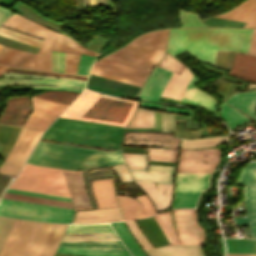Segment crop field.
<instances>
[{
    "label": "crop field",
    "instance_id": "8a807250",
    "mask_svg": "<svg viewBox=\"0 0 256 256\" xmlns=\"http://www.w3.org/2000/svg\"><path fill=\"white\" fill-rule=\"evenodd\" d=\"M253 29L175 28L171 29L167 52L177 57L188 51L214 65L217 50L247 53Z\"/></svg>",
    "mask_w": 256,
    "mask_h": 256
},
{
    "label": "crop field",
    "instance_id": "ac0d7876",
    "mask_svg": "<svg viewBox=\"0 0 256 256\" xmlns=\"http://www.w3.org/2000/svg\"><path fill=\"white\" fill-rule=\"evenodd\" d=\"M30 163L79 170L124 163L120 150L103 151L38 142Z\"/></svg>",
    "mask_w": 256,
    "mask_h": 256
},
{
    "label": "crop field",
    "instance_id": "34b2d1b8",
    "mask_svg": "<svg viewBox=\"0 0 256 256\" xmlns=\"http://www.w3.org/2000/svg\"><path fill=\"white\" fill-rule=\"evenodd\" d=\"M137 103L84 90L60 116L126 126Z\"/></svg>",
    "mask_w": 256,
    "mask_h": 256
},
{
    "label": "crop field",
    "instance_id": "412701ff",
    "mask_svg": "<svg viewBox=\"0 0 256 256\" xmlns=\"http://www.w3.org/2000/svg\"><path fill=\"white\" fill-rule=\"evenodd\" d=\"M125 127L58 117L42 138L119 149Z\"/></svg>",
    "mask_w": 256,
    "mask_h": 256
},
{
    "label": "crop field",
    "instance_id": "f4fd0767",
    "mask_svg": "<svg viewBox=\"0 0 256 256\" xmlns=\"http://www.w3.org/2000/svg\"><path fill=\"white\" fill-rule=\"evenodd\" d=\"M168 29L146 33L103 59L151 70L163 57Z\"/></svg>",
    "mask_w": 256,
    "mask_h": 256
},
{
    "label": "crop field",
    "instance_id": "dd49c442",
    "mask_svg": "<svg viewBox=\"0 0 256 256\" xmlns=\"http://www.w3.org/2000/svg\"><path fill=\"white\" fill-rule=\"evenodd\" d=\"M11 189L69 197L61 169L25 164Z\"/></svg>",
    "mask_w": 256,
    "mask_h": 256
},
{
    "label": "crop field",
    "instance_id": "e52e79f7",
    "mask_svg": "<svg viewBox=\"0 0 256 256\" xmlns=\"http://www.w3.org/2000/svg\"><path fill=\"white\" fill-rule=\"evenodd\" d=\"M172 213L179 242L170 211L154 215L170 244L202 245L204 234L203 229L197 224L195 210L176 209L172 210Z\"/></svg>",
    "mask_w": 256,
    "mask_h": 256
},
{
    "label": "crop field",
    "instance_id": "d8731c3e",
    "mask_svg": "<svg viewBox=\"0 0 256 256\" xmlns=\"http://www.w3.org/2000/svg\"><path fill=\"white\" fill-rule=\"evenodd\" d=\"M73 214L74 210L70 208L5 199H2L0 202V215L2 216L46 222H71Z\"/></svg>",
    "mask_w": 256,
    "mask_h": 256
},
{
    "label": "crop field",
    "instance_id": "5a996713",
    "mask_svg": "<svg viewBox=\"0 0 256 256\" xmlns=\"http://www.w3.org/2000/svg\"><path fill=\"white\" fill-rule=\"evenodd\" d=\"M2 25L44 39L30 68L51 71V46L55 31L42 27L17 14H12Z\"/></svg>",
    "mask_w": 256,
    "mask_h": 256
},
{
    "label": "crop field",
    "instance_id": "3316defc",
    "mask_svg": "<svg viewBox=\"0 0 256 256\" xmlns=\"http://www.w3.org/2000/svg\"><path fill=\"white\" fill-rule=\"evenodd\" d=\"M128 167H142L129 169L135 181L159 182L172 184L174 167L149 165L147 171L146 155L122 153Z\"/></svg>",
    "mask_w": 256,
    "mask_h": 256
},
{
    "label": "crop field",
    "instance_id": "28ad6ade",
    "mask_svg": "<svg viewBox=\"0 0 256 256\" xmlns=\"http://www.w3.org/2000/svg\"><path fill=\"white\" fill-rule=\"evenodd\" d=\"M226 103L239 108L242 112L255 118L256 91L234 94L226 101ZM221 118L231 129L242 124L244 121L249 120L247 116L226 104L221 107Z\"/></svg>",
    "mask_w": 256,
    "mask_h": 256
},
{
    "label": "crop field",
    "instance_id": "d1516ede",
    "mask_svg": "<svg viewBox=\"0 0 256 256\" xmlns=\"http://www.w3.org/2000/svg\"><path fill=\"white\" fill-rule=\"evenodd\" d=\"M238 184L245 187L247 217H235L236 225H249L253 237H256V161L244 168Z\"/></svg>",
    "mask_w": 256,
    "mask_h": 256
},
{
    "label": "crop field",
    "instance_id": "22f410ed",
    "mask_svg": "<svg viewBox=\"0 0 256 256\" xmlns=\"http://www.w3.org/2000/svg\"><path fill=\"white\" fill-rule=\"evenodd\" d=\"M219 159L218 148L180 150L176 171L212 172Z\"/></svg>",
    "mask_w": 256,
    "mask_h": 256
},
{
    "label": "crop field",
    "instance_id": "cbeb9de0",
    "mask_svg": "<svg viewBox=\"0 0 256 256\" xmlns=\"http://www.w3.org/2000/svg\"><path fill=\"white\" fill-rule=\"evenodd\" d=\"M90 73L141 86L149 71L101 59L94 63Z\"/></svg>",
    "mask_w": 256,
    "mask_h": 256
},
{
    "label": "crop field",
    "instance_id": "5142ce71",
    "mask_svg": "<svg viewBox=\"0 0 256 256\" xmlns=\"http://www.w3.org/2000/svg\"><path fill=\"white\" fill-rule=\"evenodd\" d=\"M34 111L23 126L44 131L56 117L67 107L66 105L34 98Z\"/></svg>",
    "mask_w": 256,
    "mask_h": 256
},
{
    "label": "crop field",
    "instance_id": "d9b57169",
    "mask_svg": "<svg viewBox=\"0 0 256 256\" xmlns=\"http://www.w3.org/2000/svg\"><path fill=\"white\" fill-rule=\"evenodd\" d=\"M5 72L2 76H15V77H36V76H19V75H8ZM17 74V73H13ZM28 75V74H26ZM40 76V75H39ZM36 78H47V79H12L3 78L0 80V84H52L58 85L60 87H50V86H30L35 90L41 89H57V90H67V91H77L81 92L86 81L77 79H61V78H50V77H36Z\"/></svg>",
    "mask_w": 256,
    "mask_h": 256
},
{
    "label": "crop field",
    "instance_id": "733c2abd",
    "mask_svg": "<svg viewBox=\"0 0 256 256\" xmlns=\"http://www.w3.org/2000/svg\"><path fill=\"white\" fill-rule=\"evenodd\" d=\"M6 106L0 115V123L21 126L31 111L30 96H17L8 98Z\"/></svg>",
    "mask_w": 256,
    "mask_h": 256
},
{
    "label": "crop field",
    "instance_id": "4a817a6b",
    "mask_svg": "<svg viewBox=\"0 0 256 256\" xmlns=\"http://www.w3.org/2000/svg\"><path fill=\"white\" fill-rule=\"evenodd\" d=\"M52 50L66 51V73L76 74L81 53L97 56L61 33H56Z\"/></svg>",
    "mask_w": 256,
    "mask_h": 256
},
{
    "label": "crop field",
    "instance_id": "bc2a9ffb",
    "mask_svg": "<svg viewBox=\"0 0 256 256\" xmlns=\"http://www.w3.org/2000/svg\"><path fill=\"white\" fill-rule=\"evenodd\" d=\"M117 197L124 219L142 218L155 214L154 207L146 196L137 197L144 207L139 202L129 197Z\"/></svg>",
    "mask_w": 256,
    "mask_h": 256
},
{
    "label": "crop field",
    "instance_id": "214f88e0",
    "mask_svg": "<svg viewBox=\"0 0 256 256\" xmlns=\"http://www.w3.org/2000/svg\"><path fill=\"white\" fill-rule=\"evenodd\" d=\"M172 72L162 68L154 67L151 74L147 78L138 98L157 101L162 90L167 84ZM153 83L147 97L145 98L151 84Z\"/></svg>",
    "mask_w": 256,
    "mask_h": 256
},
{
    "label": "crop field",
    "instance_id": "92a150f3",
    "mask_svg": "<svg viewBox=\"0 0 256 256\" xmlns=\"http://www.w3.org/2000/svg\"><path fill=\"white\" fill-rule=\"evenodd\" d=\"M176 139L169 135L149 133H125L124 144L148 145L159 144L167 148H176Z\"/></svg>",
    "mask_w": 256,
    "mask_h": 256
},
{
    "label": "crop field",
    "instance_id": "dafd665d",
    "mask_svg": "<svg viewBox=\"0 0 256 256\" xmlns=\"http://www.w3.org/2000/svg\"><path fill=\"white\" fill-rule=\"evenodd\" d=\"M68 171H64V172H65L68 187L72 196L74 207L91 206L88 200L87 194L85 192L82 174L72 173V172H81V171H72V172H68ZM88 208H91V207H88ZM76 209H81V208H76Z\"/></svg>",
    "mask_w": 256,
    "mask_h": 256
},
{
    "label": "crop field",
    "instance_id": "00972430",
    "mask_svg": "<svg viewBox=\"0 0 256 256\" xmlns=\"http://www.w3.org/2000/svg\"><path fill=\"white\" fill-rule=\"evenodd\" d=\"M210 173H177L175 191H203Z\"/></svg>",
    "mask_w": 256,
    "mask_h": 256
},
{
    "label": "crop field",
    "instance_id": "a9b5d70f",
    "mask_svg": "<svg viewBox=\"0 0 256 256\" xmlns=\"http://www.w3.org/2000/svg\"><path fill=\"white\" fill-rule=\"evenodd\" d=\"M215 17L248 22L244 27H256V0H247L236 8Z\"/></svg>",
    "mask_w": 256,
    "mask_h": 256
},
{
    "label": "crop field",
    "instance_id": "4177f3b9",
    "mask_svg": "<svg viewBox=\"0 0 256 256\" xmlns=\"http://www.w3.org/2000/svg\"><path fill=\"white\" fill-rule=\"evenodd\" d=\"M139 186L146 192V194L155 203L158 210H164L169 207L172 185L157 184V191L154 183L137 182ZM165 188V198L163 196Z\"/></svg>",
    "mask_w": 256,
    "mask_h": 256
},
{
    "label": "crop field",
    "instance_id": "730fd06b",
    "mask_svg": "<svg viewBox=\"0 0 256 256\" xmlns=\"http://www.w3.org/2000/svg\"><path fill=\"white\" fill-rule=\"evenodd\" d=\"M93 193L99 207L118 206L113 189V179L92 181Z\"/></svg>",
    "mask_w": 256,
    "mask_h": 256
},
{
    "label": "crop field",
    "instance_id": "eef30255",
    "mask_svg": "<svg viewBox=\"0 0 256 256\" xmlns=\"http://www.w3.org/2000/svg\"><path fill=\"white\" fill-rule=\"evenodd\" d=\"M231 75L256 81V57L245 54H236Z\"/></svg>",
    "mask_w": 256,
    "mask_h": 256
},
{
    "label": "crop field",
    "instance_id": "ae1a2a85",
    "mask_svg": "<svg viewBox=\"0 0 256 256\" xmlns=\"http://www.w3.org/2000/svg\"><path fill=\"white\" fill-rule=\"evenodd\" d=\"M36 54L6 47L0 54V64L29 69Z\"/></svg>",
    "mask_w": 256,
    "mask_h": 256
},
{
    "label": "crop field",
    "instance_id": "d3111659",
    "mask_svg": "<svg viewBox=\"0 0 256 256\" xmlns=\"http://www.w3.org/2000/svg\"><path fill=\"white\" fill-rule=\"evenodd\" d=\"M122 220L118 208L77 211L74 222H105Z\"/></svg>",
    "mask_w": 256,
    "mask_h": 256
},
{
    "label": "crop field",
    "instance_id": "750c4746",
    "mask_svg": "<svg viewBox=\"0 0 256 256\" xmlns=\"http://www.w3.org/2000/svg\"><path fill=\"white\" fill-rule=\"evenodd\" d=\"M193 74L185 67L180 75L173 73L162 96L180 100L183 92L189 84Z\"/></svg>",
    "mask_w": 256,
    "mask_h": 256
},
{
    "label": "crop field",
    "instance_id": "bd1437ed",
    "mask_svg": "<svg viewBox=\"0 0 256 256\" xmlns=\"http://www.w3.org/2000/svg\"><path fill=\"white\" fill-rule=\"evenodd\" d=\"M149 256H202L201 246L169 245L147 250Z\"/></svg>",
    "mask_w": 256,
    "mask_h": 256
},
{
    "label": "crop field",
    "instance_id": "1d83c4d3",
    "mask_svg": "<svg viewBox=\"0 0 256 256\" xmlns=\"http://www.w3.org/2000/svg\"><path fill=\"white\" fill-rule=\"evenodd\" d=\"M198 80L193 76L190 84L188 85L186 91L184 92L181 100L198 104L209 111L215 113V102L213 98L206 95L205 93L199 91L193 86Z\"/></svg>",
    "mask_w": 256,
    "mask_h": 256
},
{
    "label": "crop field",
    "instance_id": "120bbe31",
    "mask_svg": "<svg viewBox=\"0 0 256 256\" xmlns=\"http://www.w3.org/2000/svg\"><path fill=\"white\" fill-rule=\"evenodd\" d=\"M137 221L143 232L147 235L155 247L169 245L168 240L164 236L153 216Z\"/></svg>",
    "mask_w": 256,
    "mask_h": 256
},
{
    "label": "crop field",
    "instance_id": "d32e631a",
    "mask_svg": "<svg viewBox=\"0 0 256 256\" xmlns=\"http://www.w3.org/2000/svg\"><path fill=\"white\" fill-rule=\"evenodd\" d=\"M228 253L256 254V240L252 239H225ZM251 254H227L226 256H256Z\"/></svg>",
    "mask_w": 256,
    "mask_h": 256
},
{
    "label": "crop field",
    "instance_id": "5866460e",
    "mask_svg": "<svg viewBox=\"0 0 256 256\" xmlns=\"http://www.w3.org/2000/svg\"><path fill=\"white\" fill-rule=\"evenodd\" d=\"M59 246L126 250L120 240L61 242Z\"/></svg>",
    "mask_w": 256,
    "mask_h": 256
},
{
    "label": "crop field",
    "instance_id": "028f5c9d",
    "mask_svg": "<svg viewBox=\"0 0 256 256\" xmlns=\"http://www.w3.org/2000/svg\"><path fill=\"white\" fill-rule=\"evenodd\" d=\"M57 252L82 256H130L127 251L59 247Z\"/></svg>",
    "mask_w": 256,
    "mask_h": 256
},
{
    "label": "crop field",
    "instance_id": "e1f06a70",
    "mask_svg": "<svg viewBox=\"0 0 256 256\" xmlns=\"http://www.w3.org/2000/svg\"><path fill=\"white\" fill-rule=\"evenodd\" d=\"M134 256H146L123 222L110 223Z\"/></svg>",
    "mask_w": 256,
    "mask_h": 256
},
{
    "label": "crop field",
    "instance_id": "0bd39190",
    "mask_svg": "<svg viewBox=\"0 0 256 256\" xmlns=\"http://www.w3.org/2000/svg\"><path fill=\"white\" fill-rule=\"evenodd\" d=\"M3 198L73 208L72 203L68 201L15 194V193H9V192H5Z\"/></svg>",
    "mask_w": 256,
    "mask_h": 256
},
{
    "label": "crop field",
    "instance_id": "b80d0937",
    "mask_svg": "<svg viewBox=\"0 0 256 256\" xmlns=\"http://www.w3.org/2000/svg\"><path fill=\"white\" fill-rule=\"evenodd\" d=\"M77 233H114L107 223L91 224V225H76L70 224L65 234Z\"/></svg>",
    "mask_w": 256,
    "mask_h": 256
},
{
    "label": "crop field",
    "instance_id": "c035e120",
    "mask_svg": "<svg viewBox=\"0 0 256 256\" xmlns=\"http://www.w3.org/2000/svg\"><path fill=\"white\" fill-rule=\"evenodd\" d=\"M78 95L79 93L67 91H46L34 97L69 105Z\"/></svg>",
    "mask_w": 256,
    "mask_h": 256
},
{
    "label": "crop field",
    "instance_id": "c21b1889",
    "mask_svg": "<svg viewBox=\"0 0 256 256\" xmlns=\"http://www.w3.org/2000/svg\"><path fill=\"white\" fill-rule=\"evenodd\" d=\"M127 127H154L153 111L138 108Z\"/></svg>",
    "mask_w": 256,
    "mask_h": 256
},
{
    "label": "crop field",
    "instance_id": "03da06ac",
    "mask_svg": "<svg viewBox=\"0 0 256 256\" xmlns=\"http://www.w3.org/2000/svg\"><path fill=\"white\" fill-rule=\"evenodd\" d=\"M200 192H175L172 207H195Z\"/></svg>",
    "mask_w": 256,
    "mask_h": 256
},
{
    "label": "crop field",
    "instance_id": "b54c1fbb",
    "mask_svg": "<svg viewBox=\"0 0 256 256\" xmlns=\"http://www.w3.org/2000/svg\"><path fill=\"white\" fill-rule=\"evenodd\" d=\"M0 34L9 38L15 39L17 41L38 46V47L42 42V39L33 38L2 26H0Z\"/></svg>",
    "mask_w": 256,
    "mask_h": 256
},
{
    "label": "crop field",
    "instance_id": "5d738f31",
    "mask_svg": "<svg viewBox=\"0 0 256 256\" xmlns=\"http://www.w3.org/2000/svg\"><path fill=\"white\" fill-rule=\"evenodd\" d=\"M148 160L175 162L177 150L173 149H149Z\"/></svg>",
    "mask_w": 256,
    "mask_h": 256
},
{
    "label": "crop field",
    "instance_id": "d23c7cc5",
    "mask_svg": "<svg viewBox=\"0 0 256 256\" xmlns=\"http://www.w3.org/2000/svg\"><path fill=\"white\" fill-rule=\"evenodd\" d=\"M17 220L0 217V254Z\"/></svg>",
    "mask_w": 256,
    "mask_h": 256
},
{
    "label": "crop field",
    "instance_id": "425ffa30",
    "mask_svg": "<svg viewBox=\"0 0 256 256\" xmlns=\"http://www.w3.org/2000/svg\"><path fill=\"white\" fill-rule=\"evenodd\" d=\"M119 239L116 234L64 235L62 241Z\"/></svg>",
    "mask_w": 256,
    "mask_h": 256
},
{
    "label": "crop field",
    "instance_id": "25e5ab78",
    "mask_svg": "<svg viewBox=\"0 0 256 256\" xmlns=\"http://www.w3.org/2000/svg\"><path fill=\"white\" fill-rule=\"evenodd\" d=\"M155 118V129H156V112H154ZM161 122H162V131H164V122H165V131H174V115L164 113V122H163V113H161ZM161 122H160V113L157 112V130L161 131Z\"/></svg>",
    "mask_w": 256,
    "mask_h": 256
},
{
    "label": "crop field",
    "instance_id": "73cf0c24",
    "mask_svg": "<svg viewBox=\"0 0 256 256\" xmlns=\"http://www.w3.org/2000/svg\"><path fill=\"white\" fill-rule=\"evenodd\" d=\"M180 19L183 27H200L204 25L196 14L180 11Z\"/></svg>",
    "mask_w": 256,
    "mask_h": 256
},
{
    "label": "crop field",
    "instance_id": "89e229c0",
    "mask_svg": "<svg viewBox=\"0 0 256 256\" xmlns=\"http://www.w3.org/2000/svg\"><path fill=\"white\" fill-rule=\"evenodd\" d=\"M159 67L165 68L167 70L173 71L175 73L180 74L182 69L185 67L181 63H179L177 60L172 58L170 55L166 53L164 59L160 62L158 65Z\"/></svg>",
    "mask_w": 256,
    "mask_h": 256
},
{
    "label": "crop field",
    "instance_id": "1f2cbd36",
    "mask_svg": "<svg viewBox=\"0 0 256 256\" xmlns=\"http://www.w3.org/2000/svg\"><path fill=\"white\" fill-rule=\"evenodd\" d=\"M52 71L65 73V52L52 51Z\"/></svg>",
    "mask_w": 256,
    "mask_h": 256
},
{
    "label": "crop field",
    "instance_id": "dbb93151",
    "mask_svg": "<svg viewBox=\"0 0 256 256\" xmlns=\"http://www.w3.org/2000/svg\"><path fill=\"white\" fill-rule=\"evenodd\" d=\"M204 23L208 24L209 26H236V27H243L246 24L245 22L215 18V17H210L204 20Z\"/></svg>",
    "mask_w": 256,
    "mask_h": 256
},
{
    "label": "crop field",
    "instance_id": "0fb4a251",
    "mask_svg": "<svg viewBox=\"0 0 256 256\" xmlns=\"http://www.w3.org/2000/svg\"><path fill=\"white\" fill-rule=\"evenodd\" d=\"M139 105L144 106V107L153 108V109H158V110H163V111H168V112H173V113L192 116L191 112L188 111V110H183V109H178V108H173V107H167V106H162V105H157V104H152V103H145V102H140Z\"/></svg>",
    "mask_w": 256,
    "mask_h": 256
},
{
    "label": "crop field",
    "instance_id": "1d79db26",
    "mask_svg": "<svg viewBox=\"0 0 256 256\" xmlns=\"http://www.w3.org/2000/svg\"><path fill=\"white\" fill-rule=\"evenodd\" d=\"M94 59H95L94 56L82 54L80 62L78 64L77 74L87 75L90 69V65L94 61Z\"/></svg>",
    "mask_w": 256,
    "mask_h": 256
},
{
    "label": "crop field",
    "instance_id": "9d1cf04e",
    "mask_svg": "<svg viewBox=\"0 0 256 256\" xmlns=\"http://www.w3.org/2000/svg\"><path fill=\"white\" fill-rule=\"evenodd\" d=\"M7 71L17 72V73H28V74H45V75L64 76V77H71V78H77V79H83V80H86V78H87V76H81V75L47 73V72H39V71H31V70H23V69H14V68H9Z\"/></svg>",
    "mask_w": 256,
    "mask_h": 256
},
{
    "label": "crop field",
    "instance_id": "447ae74e",
    "mask_svg": "<svg viewBox=\"0 0 256 256\" xmlns=\"http://www.w3.org/2000/svg\"><path fill=\"white\" fill-rule=\"evenodd\" d=\"M227 52H218L217 60L215 66L222 67L224 66L225 58H226ZM234 53H228L226 63H225V69H230V66L233 61Z\"/></svg>",
    "mask_w": 256,
    "mask_h": 256
},
{
    "label": "crop field",
    "instance_id": "0765c3eb",
    "mask_svg": "<svg viewBox=\"0 0 256 256\" xmlns=\"http://www.w3.org/2000/svg\"><path fill=\"white\" fill-rule=\"evenodd\" d=\"M20 130V127H13L12 131H11V134L8 138V141L4 147V150L1 152L0 156L2 158H5V156L8 154V152L10 151L11 147L13 146L14 144V141L18 135V132ZM7 157V156H6Z\"/></svg>",
    "mask_w": 256,
    "mask_h": 256
},
{
    "label": "crop field",
    "instance_id": "db79e9e6",
    "mask_svg": "<svg viewBox=\"0 0 256 256\" xmlns=\"http://www.w3.org/2000/svg\"><path fill=\"white\" fill-rule=\"evenodd\" d=\"M112 168L118 172L122 182L132 180L127 168L125 167V165L114 166Z\"/></svg>",
    "mask_w": 256,
    "mask_h": 256
},
{
    "label": "crop field",
    "instance_id": "7b73153f",
    "mask_svg": "<svg viewBox=\"0 0 256 256\" xmlns=\"http://www.w3.org/2000/svg\"><path fill=\"white\" fill-rule=\"evenodd\" d=\"M7 191L71 201V199L67 197H60V196H53V195H46V194H39V193H32V192H25V191L11 190V189H7Z\"/></svg>",
    "mask_w": 256,
    "mask_h": 256
},
{
    "label": "crop field",
    "instance_id": "78b8030e",
    "mask_svg": "<svg viewBox=\"0 0 256 256\" xmlns=\"http://www.w3.org/2000/svg\"><path fill=\"white\" fill-rule=\"evenodd\" d=\"M224 77H225V76L222 75L221 78L215 80L214 83L212 84V86L217 89V87L219 86V84L221 83V81L224 79ZM226 84H227V82H225V81L223 80L222 83L220 84V86L218 87L217 91L221 92V90L224 88V86H225ZM229 85H230V82H228V84H227V85L225 86V88L222 90V93H224V91L227 89V87H228ZM231 85H232V83H231ZM231 85H230V86H231ZM230 86H229V87H230ZM229 87H228V89H229ZM228 89H227V90H228ZM227 90H226V91H227ZM226 91H225V93H226Z\"/></svg>",
    "mask_w": 256,
    "mask_h": 256
},
{
    "label": "crop field",
    "instance_id": "0f1d7ab4",
    "mask_svg": "<svg viewBox=\"0 0 256 256\" xmlns=\"http://www.w3.org/2000/svg\"><path fill=\"white\" fill-rule=\"evenodd\" d=\"M175 135L178 137H188V138L201 136L199 130L197 131L177 130Z\"/></svg>",
    "mask_w": 256,
    "mask_h": 256
},
{
    "label": "crop field",
    "instance_id": "e1d0b9f6",
    "mask_svg": "<svg viewBox=\"0 0 256 256\" xmlns=\"http://www.w3.org/2000/svg\"><path fill=\"white\" fill-rule=\"evenodd\" d=\"M122 152L145 154V148L121 146Z\"/></svg>",
    "mask_w": 256,
    "mask_h": 256
},
{
    "label": "crop field",
    "instance_id": "ae633e8c",
    "mask_svg": "<svg viewBox=\"0 0 256 256\" xmlns=\"http://www.w3.org/2000/svg\"><path fill=\"white\" fill-rule=\"evenodd\" d=\"M249 54L256 55V29L253 31V37L249 48Z\"/></svg>",
    "mask_w": 256,
    "mask_h": 256
},
{
    "label": "crop field",
    "instance_id": "d14b1444",
    "mask_svg": "<svg viewBox=\"0 0 256 256\" xmlns=\"http://www.w3.org/2000/svg\"><path fill=\"white\" fill-rule=\"evenodd\" d=\"M11 129H12V128H10V127L4 126V128H3V130H2L1 133L8 136L9 133H10V131H11ZM2 134L0 135V143L4 145L8 137H7V136H4V135H2Z\"/></svg>",
    "mask_w": 256,
    "mask_h": 256
},
{
    "label": "crop field",
    "instance_id": "c39391a2",
    "mask_svg": "<svg viewBox=\"0 0 256 256\" xmlns=\"http://www.w3.org/2000/svg\"><path fill=\"white\" fill-rule=\"evenodd\" d=\"M12 14V12L7 11L3 8L0 7V24L6 20L10 15Z\"/></svg>",
    "mask_w": 256,
    "mask_h": 256
},
{
    "label": "crop field",
    "instance_id": "ade564c9",
    "mask_svg": "<svg viewBox=\"0 0 256 256\" xmlns=\"http://www.w3.org/2000/svg\"><path fill=\"white\" fill-rule=\"evenodd\" d=\"M149 164L174 166L175 163L148 161Z\"/></svg>",
    "mask_w": 256,
    "mask_h": 256
},
{
    "label": "crop field",
    "instance_id": "c5b07064",
    "mask_svg": "<svg viewBox=\"0 0 256 256\" xmlns=\"http://www.w3.org/2000/svg\"><path fill=\"white\" fill-rule=\"evenodd\" d=\"M12 1L13 0H0V5L8 8Z\"/></svg>",
    "mask_w": 256,
    "mask_h": 256
},
{
    "label": "crop field",
    "instance_id": "c3a83c6f",
    "mask_svg": "<svg viewBox=\"0 0 256 256\" xmlns=\"http://www.w3.org/2000/svg\"><path fill=\"white\" fill-rule=\"evenodd\" d=\"M90 6H97L96 0H90Z\"/></svg>",
    "mask_w": 256,
    "mask_h": 256
},
{
    "label": "crop field",
    "instance_id": "fb207236",
    "mask_svg": "<svg viewBox=\"0 0 256 256\" xmlns=\"http://www.w3.org/2000/svg\"><path fill=\"white\" fill-rule=\"evenodd\" d=\"M7 68L0 66V75L6 71Z\"/></svg>",
    "mask_w": 256,
    "mask_h": 256
},
{
    "label": "crop field",
    "instance_id": "7312dd0a",
    "mask_svg": "<svg viewBox=\"0 0 256 256\" xmlns=\"http://www.w3.org/2000/svg\"><path fill=\"white\" fill-rule=\"evenodd\" d=\"M55 256H72V255H66V254H59V253H56Z\"/></svg>",
    "mask_w": 256,
    "mask_h": 256
},
{
    "label": "crop field",
    "instance_id": "180be81f",
    "mask_svg": "<svg viewBox=\"0 0 256 256\" xmlns=\"http://www.w3.org/2000/svg\"><path fill=\"white\" fill-rule=\"evenodd\" d=\"M2 128H3V126H2V125H0V132H1Z\"/></svg>",
    "mask_w": 256,
    "mask_h": 256
}]
</instances>
